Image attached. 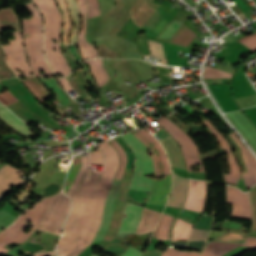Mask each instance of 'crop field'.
Listing matches in <instances>:
<instances>
[{
    "mask_svg": "<svg viewBox=\"0 0 256 256\" xmlns=\"http://www.w3.org/2000/svg\"><path fill=\"white\" fill-rule=\"evenodd\" d=\"M151 1L152 0H138L131 9V19L140 28L159 7V5Z\"/></svg>",
    "mask_w": 256,
    "mask_h": 256,
    "instance_id": "d9b57169",
    "label": "crop field"
},
{
    "mask_svg": "<svg viewBox=\"0 0 256 256\" xmlns=\"http://www.w3.org/2000/svg\"><path fill=\"white\" fill-rule=\"evenodd\" d=\"M59 81L66 90L73 89L66 78L59 79Z\"/></svg>",
    "mask_w": 256,
    "mask_h": 256,
    "instance_id": "0fb4a251",
    "label": "crop field"
},
{
    "mask_svg": "<svg viewBox=\"0 0 256 256\" xmlns=\"http://www.w3.org/2000/svg\"><path fill=\"white\" fill-rule=\"evenodd\" d=\"M200 253L192 252V251H179L172 248L167 247L165 253L162 256H199Z\"/></svg>",
    "mask_w": 256,
    "mask_h": 256,
    "instance_id": "c21b1889",
    "label": "crop field"
},
{
    "mask_svg": "<svg viewBox=\"0 0 256 256\" xmlns=\"http://www.w3.org/2000/svg\"><path fill=\"white\" fill-rule=\"evenodd\" d=\"M55 252H47V253H41V254H36L34 256H54Z\"/></svg>",
    "mask_w": 256,
    "mask_h": 256,
    "instance_id": "9d1cf04e",
    "label": "crop field"
},
{
    "mask_svg": "<svg viewBox=\"0 0 256 256\" xmlns=\"http://www.w3.org/2000/svg\"><path fill=\"white\" fill-rule=\"evenodd\" d=\"M162 17L161 13L159 12V9L156 11V13L146 22L144 27L151 30V28L159 21V19Z\"/></svg>",
    "mask_w": 256,
    "mask_h": 256,
    "instance_id": "25e5ab78",
    "label": "crop field"
},
{
    "mask_svg": "<svg viewBox=\"0 0 256 256\" xmlns=\"http://www.w3.org/2000/svg\"><path fill=\"white\" fill-rule=\"evenodd\" d=\"M196 36L197 35L184 23L169 42L188 47Z\"/></svg>",
    "mask_w": 256,
    "mask_h": 256,
    "instance_id": "4177f3b9",
    "label": "crop field"
},
{
    "mask_svg": "<svg viewBox=\"0 0 256 256\" xmlns=\"http://www.w3.org/2000/svg\"><path fill=\"white\" fill-rule=\"evenodd\" d=\"M23 81L40 100V102L50 96L38 78L27 77V79H24Z\"/></svg>",
    "mask_w": 256,
    "mask_h": 256,
    "instance_id": "1d83c4d3",
    "label": "crop field"
},
{
    "mask_svg": "<svg viewBox=\"0 0 256 256\" xmlns=\"http://www.w3.org/2000/svg\"><path fill=\"white\" fill-rule=\"evenodd\" d=\"M64 196L62 193L55 196L44 220L37 227L38 230L61 235L63 221L70 209V200Z\"/></svg>",
    "mask_w": 256,
    "mask_h": 256,
    "instance_id": "e52e79f7",
    "label": "crop field"
},
{
    "mask_svg": "<svg viewBox=\"0 0 256 256\" xmlns=\"http://www.w3.org/2000/svg\"><path fill=\"white\" fill-rule=\"evenodd\" d=\"M204 122L208 125L210 130L218 137L222 147L227 149V151L229 153V156H230V158L228 160V163H229L230 168H231V173H230V175H224V176H225V179H226L227 182L236 184L237 183L236 181L239 180V178H240V172H239L238 165L235 161V158L233 157V155L230 152L228 143L223 138V136L220 135L207 120L204 121Z\"/></svg>",
    "mask_w": 256,
    "mask_h": 256,
    "instance_id": "dafd665d",
    "label": "crop field"
},
{
    "mask_svg": "<svg viewBox=\"0 0 256 256\" xmlns=\"http://www.w3.org/2000/svg\"><path fill=\"white\" fill-rule=\"evenodd\" d=\"M192 226L193 225L178 218L174 226L173 241L187 240Z\"/></svg>",
    "mask_w": 256,
    "mask_h": 256,
    "instance_id": "120bbe31",
    "label": "crop field"
},
{
    "mask_svg": "<svg viewBox=\"0 0 256 256\" xmlns=\"http://www.w3.org/2000/svg\"><path fill=\"white\" fill-rule=\"evenodd\" d=\"M89 154H90V164L103 166V158H102V152L101 151L92 152V153H89Z\"/></svg>",
    "mask_w": 256,
    "mask_h": 256,
    "instance_id": "5d738f31",
    "label": "crop field"
},
{
    "mask_svg": "<svg viewBox=\"0 0 256 256\" xmlns=\"http://www.w3.org/2000/svg\"><path fill=\"white\" fill-rule=\"evenodd\" d=\"M239 41L245 44L249 49L253 51L256 50V33L253 35H248Z\"/></svg>",
    "mask_w": 256,
    "mask_h": 256,
    "instance_id": "03da06ac",
    "label": "crop field"
},
{
    "mask_svg": "<svg viewBox=\"0 0 256 256\" xmlns=\"http://www.w3.org/2000/svg\"><path fill=\"white\" fill-rule=\"evenodd\" d=\"M25 172L21 174L20 171L13 169L10 166H4L0 169V195L4 193L6 190L10 189L11 186H17L24 180L19 177L23 175Z\"/></svg>",
    "mask_w": 256,
    "mask_h": 256,
    "instance_id": "92a150f3",
    "label": "crop field"
},
{
    "mask_svg": "<svg viewBox=\"0 0 256 256\" xmlns=\"http://www.w3.org/2000/svg\"><path fill=\"white\" fill-rule=\"evenodd\" d=\"M134 250H136L135 248H129L122 256H129ZM142 253H140L139 251H134L130 256H141Z\"/></svg>",
    "mask_w": 256,
    "mask_h": 256,
    "instance_id": "1f2cbd36",
    "label": "crop field"
},
{
    "mask_svg": "<svg viewBox=\"0 0 256 256\" xmlns=\"http://www.w3.org/2000/svg\"><path fill=\"white\" fill-rule=\"evenodd\" d=\"M68 6L70 8L72 21L74 24H77V28H72L70 44H77V36L80 30V19H79V12H78V4L76 0H66Z\"/></svg>",
    "mask_w": 256,
    "mask_h": 256,
    "instance_id": "bd1437ed",
    "label": "crop field"
},
{
    "mask_svg": "<svg viewBox=\"0 0 256 256\" xmlns=\"http://www.w3.org/2000/svg\"><path fill=\"white\" fill-rule=\"evenodd\" d=\"M91 256H98V255H94V254H92Z\"/></svg>",
    "mask_w": 256,
    "mask_h": 256,
    "instance_id": "447ae74e",
    "label": "crop field"
},
{
    "mask_svg": "<svg viewBox=\"0 0 256 256\" xmlns=\"http://www.w3.org/2000/svg\"><path fill=\"white\" fill-rule=\"evenodd\" d=\"M52 199L53 197L46 199L36 204L34 209L25 211L26 213L20 216L13 226L0 234V256L8 252V250L2 248L3 245L13 242L22 243L34 232L44 218ZM25 221H32L33 223L27 224ZM29 225H33L31 231L28 234H24L22 230Z\"/></svg>",
    "mask_w": 256,
    "mask_h": 256,
    "instance_id": "f4fd0767",
    "label": "crop field"
},
{
    "mask_svg": "<svg viewBox=\"0 0 256 256\" xmlns=\"http://www.w3.org/2000/svg\"><path fill=\"white\" fill-rule=\"evenodd\" d=\"M160 212H156L150 209H144L141 220L139 222L136 234L143 235L152 232L156 226ZM145 223H148L145 225Z\"/></svg>",
    "mask_w": 256,
    "mask_h": 256,
    "instance_id": "a9b5d70f",
    "label": "crop field"
},
{
    "mask_svg": "<svg viewBox=\"0 0 256 256\" xmlns=\"http://www.w3.org/2000/svg\"><path fill=\"white\" fill-rule=\"evenodd\" d=\"M0 119L8 125L10 128L18 131L20 134L25 136H32L26 129V125L21 122L17 117H15L10 111L0 104Z\"/></svg>",
    "mask_w": 256,
    "mask_h": 256,
    "instance_id": "00972430",
    "label": "crop field"
},
{
    "mask_svg": "<svg viewBox=\"0 0 256 256\" xmlns=\"http://www.w3.org/2000/svg\"><path fill=\"white\" fill-rule=\"evenodd\" d=\"M33 13V18L23 20V34H31V37L25 38L26 53L29 56L30 64L37 76L53 77V73L45 61L43 53V37H42V18L35 4L32 2L27 5ZM38 68L45 70L44 75L38 74Z\"/></svg>",
    "mask_w": 256,
    "mask_h": 256,
    "instance_id": "34b2d1b8",
    "label": "crop field"
},
{
    "mask_svg": "<svg viewBox=\"0 0 256 256\" xmlns=\"http://www.w3.org/2000/svg\"><path fill=\"white\" fill-rule=\"evenodd\" d=\"M87 168H88V156L82 157V169H81V156L78 155L73 159L71 168H70L69 173H68L67 181H66V184H65L64 193L67 192L68 188L72 184L73 180L77 176L80 169H81V171L78 174V176L76 177L75 181L73 182V184L71 185L70 189L68 190V192L66 194L70 198H71V195L74 193L77 185L83 179V177H84V175L87 171Z\"/></svg>",
    "mask_w": 256,
    "mask_h": 256,
    "instance_id": "cbeb9de0",
    "label": "crop field"
},
{
    "mask_svg": "<svg viewBox=\"0 0 256 256\" xmlns=\"http://www.w3.org/2000/svg\"><path fill=\"white\" fill-rule=\"evenodd\" d=\"M14 77H15V75L9 69V67L4 59L3 49L0 44V80L6 79V78H14Z\"/></svg>",
    "mask_w": 256,
    "mask_h": 256,
    "instance_id": "028f5c9d",
    "label": "crop field"
},
{
    "mask_svg": "<svg viewBox=\"0 0 256 256\" xmlns=\"http://www.w3.org/2000/svg\"><path fill=\"white\" fill-rule=\"evenodd\" d=\"M246 236H247V234L235 233V232L228 231L226 234H224L223 236H221L213 241L244 243Z\"/></svg>",
    "mask_w": 256,
    "mask_h": 256,
    "instance_id": "d32e631a",
    "label": "crop field"
},
{
    "mask_svg": "<svg viewBox=\"0 0 256 256\" xmlns=\"http://www.w3.org/2000/svg\"><path fill=\"white\" fill-rule=\"evenodd\" d=\"M141 206H137L131 203L126 204V209L123 217V221L120 226V230L117 236L123 238L129 234L135 233L138 226L140 214L142 212Z\"/></svg>",
    "mask_w": 256,
    "mask_h": 256,
    "instance_id": "5142ce71",
    "label": "crop field"
},
{
    "mask_svg": "<svg viewBox=\"0 0 256 256\" xmlns=\"http://www.w3.org/2000/svg\"><path fill=\"white\" fill-rule=\"evenodd\" d=\"M204 80V82H207V80L206 79H203Z\"/></svg>",
    "mask_w": 256,
    "mask_h": 256,
    "instance_id": "0765c3eb",
    "label": "crop field"
},
{
    "mask_svg": "<svg viewBox=\"0 0 256 256\" xmlns=\"http://www.w3.org/2000/svg\"><path fill=\"white\" fill-rule=\"evenodd\" d=\"M232 74L205 66L204 78H230Z\"/></svg>",
    "mask_w": 256,
    "mask_h": 256,
    "instance_id": "b80d0937",
    "label": "crop field"
},
{
    "mask_svg": "<svg viewBox=\"0 0 256 256\" xmlns=\"http://www.w3.org/2000/svg\"><path fill=\"white\" fill-rule=\"evenodd\" d=\"M42 83L46 84L49 88H51L56 95L58 96L55 98L62 106H67L71 103L70 97L65 93V91L61 88L59 83L56 81V79L49 78L47 80L40 78Z\"/></svg>",
    "mask_w": 256,
    "mask_h": 256,
    "instance_id": "ae1a2a85",
    "label": "crop field"
},
{
    "mask_svg": "<svg viewBox=\"0 0 256 256\" xmlns=\"http://www.w3.org/2000/svg\"><path fill=\"white\" fill-rule=\"evenodd\" d=\"M123 138L134 149L137 159L130 189L150 192L153 179L144 178V175L154 174V167L146 153L147 147L132 133L123 135Z\"/></svg>",
    "mask_w": 256,
    "mask_h": 256,
    "instance_id": "dd49c442",
    "label": "crop field"
},
{
    "mask_svg": "<svg viewBox=\"0 0 256 256\" xmlns=\"http://www.w3.org/2000/svg\"><path fill=\"white\" fill-rule=\"evenodd\" d=\"M183 21H175L173 20L167 28L160 35L161 38H171L172 35L177 31V29L183 24Z\"/></svg>",
    "mask_w": 256,
    "mask_h": 256,
    "instance_id": "c035e120",
    "label": "crop field"
},
{
    "mask_svg": "<svg viewBox=\"0 0 256 256\" xmlns=\"http://www.w3.org/2000/svg\"><path fill=\"white\" fill-rule=\"evenodd\" d=\"M230 135L241 147L242 155L248 171L246 173H243L242 177L247 189H249L250 187L256 184V160L250 154V152L243 146V144L240 142V140L236 137L234 133Z\"/></svg>",
    "mask_w": 256,
    "mask_h": 256,
    "instance_id": "4a817a6b",
    "label": "crop field"
},
{
    "mask_svg": "<svg viewBox=\"0 0 256 256\" xmlns=\"http://www.w3.org/2000/svg\"><path fill=\"white\" fill-rule=\"evenodd\" d=\"M243 246L256 247V238L248 237Z\"/></svg>",
    "mask_w": 256,
    "mask_h": 256,
    "instance_id": "dbb93151",
    "label": "crop field"
},
{
    "mask_svg": "<svg viewBox=\"0 0 256 256\" xmlns=\"http://www.w3.org/2000/svg\"><path fill=\"white\" fill-rule=\"evenodd\" d=\"M57 1L59 2V6L63 10V13H64L63 39L65 42V46H68V32L70 30L71 23H70L68 11L66 9L64 0H57Z\"/></svg>",
    "mask_w": 256,
    "mask_h": 256,
    "instance_id": "5866460e",
    "label": "crop field"
},
{
    "mask_svg": "<svg viewBox=\"0 0 256 256\" xmlns=\"http://www.w3.org/2000/svg\"><path fill=\"white\" fill-rule=\"evenodd\" d=\"M79 3L80 12L82 15V29L79 33L78 46L83 59L97 57L95 48L88 44L85 40V19L87 14L86 0H77Z\"/></svg>",
    "mask_w": 256,
    "mask_h": 256,
    "instance_id": "214f88e0",
    "label": "crop field"
},
{
    "mask_svg": "<svg viewBox=\"0 0 256 256\" xmlns=\"http://www.w3.org/2000/svg\"><path fill=\"white\" fill-rule=\"evenodd\" d=\"M69 82L81 96L86 95L84 88L81 86V84L77 81L76 78L69 79Z\"/></svg>",
    "mask_w": 256,
    "mask_h": 256,
    "instance_id": "73cf0c24",
    "label": "crop field"
},
{
    "mask_svg": "<svg viewBox=\"0 0 256 256\" xmlns=\"http://www.w3.org/2000/svg\"><path fill=\"white\" fill-rule=\"evenodd\" d=\"M0 101L5 106H7V105L17 101V99L15 97H13L12 94L9 91H7V92L0 95Z\"/></svg>",
    "mask_w": 256,
    "mask_h": 256,
    "instance_id": "425ffa30",
    "label": "crop field"
},
{
    "mask_svg": "<svg viewBox=\"0 0 256 256\" xmlns=\"http://www.w3.org/2000/svg\"><path fill=\"white\" fill-rule=\"evenodd\" d=\"M169 23L163 18L157 25V27L155 29H153L152 31L156 32V33H160Z\"/></svg>",
    "mask_w": 256,
    "mask_h": 256,
    "instance_id": "89e229c0",
    "label": "crop field"
},
{
    "mask_svg": "<svg viewBox=\"0 0 256 256\" xmlns=\"http://www.w3.org/2000/svg\"><path fill=\"white\" fill-rule=\"evenodd\" d=\"M162 253L158 250L146 251L143 256H160Z\"/></svg>",
    "mask_w": 256,
    "mask_h": 256,
    "instance_id": "1d79db26",
    "label": "crop field"
},
{
    "mask_svg": "<svg viewBox=\"0 0 256 256\" xmlns=\"http://www.w3.org/2000/svg\"><path fill=\"white\" fill-rule=\"evenodd\" d=\"M227 201L233 204L231 216L252 219L249 195L240 190L227 186Z\"/></svg>",
    "mask_w": 256,
    "mask_h": 256,
    "instance_id": "d1516ede",
    "label": "crop field"
},
{
    "mask_svg": "<svg viewBox=\"0 0 256 256\" xmlns=\"http://www.w3.org/2000/svg\"><path fill=\"white\" fill-rule=\"evenodd\" d=\"M45 17V51H52L53 47L60 50L61 15L54 0H34ZM52 39L58 42L53 43ZM46 58L55 73L62 72L64 76L71 71L60 51L45 52Z\"/></svg>",
    "mask_w": 256,
    "mask_h": 256,
    "instance_id": "ac0d7876",
    "label": "crop field"
},
{
    "mask_svg": "<svg viewBox=\"0 0 256 256\" xmlns=\"http://www.w3.org/2000/svg\"><path fill=\"white\" fill-rule=\"evenodd\" d=\"M174 220L175 218L163 214L155 230V238L171 239V228Z\"/></svg>",
    "mask_w": 256,
    "mask_h": 256,
    "instance_id": "730fd06b",
    "label": "crop field"
},
{
    "mask_svg": "<svg viewBox=\"0 0 256 256\" xmlns=\"http://www.w3.org/2000/svg\"><path fill=\"white\" fill-rule=\"evenodd\" d=\"M2 27H13L20 29L19 20L12 7L0 11V34Z\"/></svg>",
    "mask_w": 256,
    "mask_h": 256,
    "instance_id": "d3111659",
    "label": "crop field"
},
{
    "mask_svg": "<svg viewBox=\"0 0 256 256\" xmlns=\"http://www.w3.org/2000/svg\"><path fill=\"white\" fill-rule=\"evenodd\" d=\"M190 193L184 208L202 212L205 197V181L189 180Z\"/></svg>",
    "mask_w": 256,
    "mask_h": 256,
    "instance_id": "733c2abd",
    "label": "crop field"
},
{
    "mask_svg": "<svg viewBox=\"0 0 256 256\" xmlns=\"http://www.w3.org/2000/svg\"><path fill=\"white\" fill-rule=\"evenodd\" d=\"M17 217L2 209L0 210V231L11 225Z\"/></svg>",
    "mask_w": 256,
    "mask_h": 256,
    "instance_id": "0bd39190",
    "label": "crop field"
},
{
    "mask_svg": "<svg viewBox=\"0 0 256 256\" xmlns=\"http://www.w3.org/2000/svg\"><path fill=\"white\" fill-rule=\"evenodd\" d=\"M105 166L100 172L89 170L72 197V208L58 244V256H78L94 240L101 225L106 197L119 166V158L109 142L100 144Z\"/></svg>",
    "mask_w": 256,
    "mask_h": 256,
    "instance_id": "8a807250",
    "label": "crop field"
},
{
    "mask_svg": "<svg viewBox=\"0 0 256 256\" xmlns=\"http://www.w3.org/2000/svg\"><path fill=\"white\" fill-rule=\"evenodd\" d=\"M156 135L162 139L160 142L167 152L171 168L186 170L183 156L175 140L164 130L156 133Z\"/></svg>",
    "mask_w": 256,
    "mask_h": 256,
    "instance_id": "22f410ed",
    "label": "crop field"
},
{
    "mask_svg": "<svg viewBox=\"0 0 256 256\" xmlns=\"http://www.w3.org/2000/svg\"><path fill=\"white\" fill-rule=\"evenodd\" d=\"M13 34L16 40L10 41L11 46H4L8 63L16 72L17 76H35L26 61L21 31L14 32ZM16 69H20L24 73L20 74ZM29 72H32L34 75H30Z\"/></svg>",
    "mask_w": 256,
    "mask_h": 256,
    "instance_id": "3316defc",
    "label": "crop field"
},
{
    "mask_svg": "<svg viewBox=\"0 0 256 256\" xmlns=\"http://www.w3.org/2000/svg\"><path fill=\"white\" fill-rule=\"evenodd\" d=\"M158 123L163 126L168 132H170L177 143L179 144L188 166V171H191L190 167L199 164L200 172H204L202 168L201 161L198 156V151L196 145L190 139L188 135L178 129L172 122H170L166 117L157 119Z\"/></svg>",
    "mask_w": 256,
    "mask_h": 256,
    "instance_id": "d8731c3e",
    "label": "crop field"
},
{
    "mask_svg": "<svg viewBox=\"0 0 256 256\" xmlns=\"http://www.w3.org/2000/svg\"><path fill=\"white\" fill-rule=\"evenodd\" d=\"M131 172H132V169L126 168L123 182H122V185H121V188L119 191V195L117 198L116 207H115L112 219H111V223H110L108 232L104 238V240H106V241H110L114 237V235L120 225L123 208H124L125 196L127 194L129 184H130Z\"/></svg>",
    "mask_w": 256,
    "mask_h": 256,
    "instance_id": "28ad6ade",
    "label": "crop field"
},
{
    "mask_svg": "<svg viewBox=\"0 0 256 256\" xmlns=\"http://www.w3.org/2000/svg\"><path fill=\"white\" fill-rule=\"evenodd\" d=\"M173 187L171 197H169L168 206H183L188 192V179L176 176L173 172ZM182 209V207H178Z\"/></svg>",
    "mask_w": 256,
    "mask_h": 256,
    "instance_id": "bc2a9ffb",
    "label": "crop field"
},
{
    "mask_svg": "<svg viewBox=\"0 0 256 256\" xmlns=\"http://www.w3.org/2000/svg\"><path fill=\"white\" fill-rule=\"evenodd\" d=\"M252 202H253V210H254V222H253V229L251 233H256V186L251 188L250 190Z\"/></svg>",
    "mask_w": 256,
    "mask_h": 256,
    "instance_id": "d23c7cc5",
    "label": "crop field"
},
{
    "mask_svg": "<svg viewBox=\"0 0 256 256\" xmlns=\"http://www.w3.org/2000/svg\"><path fill=\"white\" fill-rule=\"evenodd\" d=\"M134 135L138 137L141 141H143L146 144V146H148L153 151L154 156H152V158L156 169V176L170 174V168L167 162L165 151L159 144V142L156 139H154L145 129L134 133ZM150 144H153L154 146L151 148L149 146ZM170 185V175H167V177L162 181H154L151 190V195L147 203L164 205L166 202L167 194L170 191Z\"/></svg>",
    "mask_w": 256,
    "mask_h": 256,
    "instance_id": "412701ff",
    "label": "crop field"
},
{
    "mask_svg": "<svg viewBox=\"0 0 256 256\" xmlns=\"http://www.w3.org/2000/svg\"><path fill=\"white\" fill-rule=\"evenodd\" d=\"M240 246V244H230V243H214L211 242L208 244V246L205 248L204 252L216 254L222 256L224 253ZM202 253L201 256H216L208 253Z\"/></svg>",
    "mask_w": 256,
    "mask_h": 256,
    "instance_id": "750c4746",
    "label": "crop field"
},
{
    "mask_svg": "<svg viewBox=\"0 0 256 256\" xmlns=\"http://www.w3.org/2000/svg\"><path fill=\"white\" fill-rule=\"evenodd\" d=\"M210 231H201L192 229L188 240H202L206 239Z\"/></svg>",
    "mask_w": 256,
    "mask_h": 256,
    "instance_id": "b54c1fbb",
    "label": "crop field"
},
{
    "mask_svg": "<svg viewBox=\"0 0 256 256\" xmlns=\"http://www.w3.org/2000/svg\"><path fill=\"white\" fill-rule=\"evenodd\" d=\"M112 141V143L115 145V147L118 149L120 155H121V159H122V164H121V167H120V170H119V173H118V176L116 179H121L122 177V174H123V171L125 169V164H126V154L125 152L123 151V149L120 147V145L116 142V140L114 138L110 139ZM109 140V141H110ZM110 141V143H111ZM111 143V145L114 147V145ZM114 147V149L116 150V148ZM117 151V150H116ZM118 153V152H117ZM119 156V154H118ZM120 158V156H119ZM121 159H120V163H121ZM123 178V177H122ZM116 181L117 180H114L113 182V185L116 184ZM120 181L121 180H118L117 181V184L116 186H113L112 188V194H115L117 195L118 193V190L120 188ZM122 182V181H121ZM116 197L117 196H114V195H111V191H110V194H109V197H108V200H107V203H106V208H105V214H104V218H103V222H102V225L100 227V231L96 237V239L94 240V242H97V241H101L108 229V226H109V222H110V219H111V216H112V213H113V210H114V206H115V201H116Z\"/></svg>",
    "mask_w": 256,
    "mask_h": 256,
    "instance_id": "5a996713",
    "label": "crop field"
},
{
    "mask_svg": "<svg viewBox=\"0 0 256 256\" xmlns=\"http://www.w3.org/2000/svg\"><path fill=\"white\" fill-rule=\"evenodd\" d=\"M91 66V73L99 87L105 84L108 79V74L102 67V59L84 61Z\"/></svg>",
    "mask_w": 256,
    "mask_h": 256,
    "instance_id": "eef30255",
    "label": "crop field"
},
{
    "mask_svg": "<svg viewBox=\"0 0 256 256\" xmlns=\"http://www.w3.org/2000/svg\"><path fill=\"white\" fill-rule=\"evenodd\" d=\"M149 41L150 52L152 55L161 59L162 63L166 65V59L164 55L163 45L160 42Z\"/></svg>",
    "mask_w": 256,
    "mask_h": 256,
    "instance_id": "e1f06a70",
    "label": "crop field"
}]
</instances>
